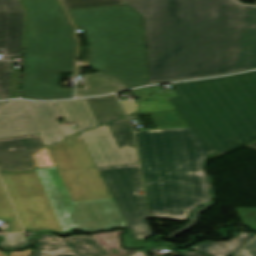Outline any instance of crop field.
Masks as SVG:
<instances>
[{"mask_svg": "<svg viewBox=\"0 0 256 256\" xmlns=\"http://www.w3.org/2000/svg\"><path fill=\"white\" fill-rule=\"evenodd\" d=\"M169 98L190 128L135 132L154 217L186 220L211 199L203 164L256 140V71L171 84Z\"/></svg>", "mask_w": 256, "mask_h": 256, "instance_id": "obj_1", "label": "crop field"}, {"mask_svg": "<svg viewBox=\"0 0 256 256\" xmlns=\"http://www.w3.org/2000/svg\"><path fill=\"white\" fill-rule=\"evenodd\" d=\"M144 16L150 83L256 68V5L122 0Z\"/></svg>", "mask_w": 256, "mask_h": 256, "instance_id": "obj_2", "label": "crop field"}, {"mask_svg": "<svg viewBox=\"0 0 256 256\" xmlns=\"http://www.w3.org/2000/svg\"><path fill=\"white\" fill-rule=\"evenodd\" d=\"M48 147L57 167L1 171L25 229L86 232L126 223L97 167L138 163L135 147L118 149L107 125Z\"/></svg>", "mask_w": 256, "mask_h": 256, "instance_id": "obj_3", "label": "crop field"}, {"mask_svg": "<svg viewBox=\"0 0 256 256\" xmlns=\"http://www.w3.org/2000/svg\"><path fill=\"white\" fill-rule=\"evenodd\" d=\"M22 1L28 13L22 98H73V88H60V72L74 71L72 25L57 0Z\"/></svg>", "mask_w": 256, "mask_h": 256, "instance_id": "obj_4", "label": "crop field"}, {"mask_svg": "<svg viewBox=\"0 0 256 256\" xmlns=\"http://www.w3.org/2000/svg\"><path fill=\"white\" fill-rule=\"evenodd\" d=\"M68 12L86 32L95 69L129 87L148 83L141 15L126 4Z\"/></svg>", "mask_w": 256, "mask_h": 256, "instance_id": "obj_5", "label": "crop field"}, {"mask_svg": "<svg viewBox=\"0 0 256 256\" xmlns=\"http://www.w3.org/2000/svg\"><path fill=\"white\" fill-rule=\"evenodd\" d=\"M55 118L61 116L54 102L9 101L0 108V138L39 133L45 146L58 143L71 129Z\"/></svg>", "mask_w": 256, "mask_h": 256, "instance_id": "obj_6", "label": "crop field"}, {"mask_svg": "<svg viewBox=\"0 0 256 256\" xmlns=\"http://www.w3.org/2000/svg\"><path fill=\"white\" fill-rule=\"evenodd\" d=\"M136 241L152 235L146 212L138 164L98 168Z\"/></svg>", "mask_w": 256, "mask_h": 256, "instance_id": "obj_7", "label": "crop field"}, {"mask_svg": "<svg viewBox=\"0 0 256 256\" xmlns=\"http://www.w3.org/2000/svg\"><path fill=\"white\" fill-rule=\"evenodd\" d=\"M33 256H110L92 236L57 238L44 234Z\"/></svg>", "mask_w": 256, "mask_h": 256, "instance_id": "obj_8", "label": "crop field"}, {"mask_svg": "<svg viewBox=\"0 0 256 256\" xmlns=\"http://www.w3.org/2000/svg\"><path fill=\"white\" fill-rule=\"evenodd\" d=\"M24 13L18 0H0L1 60L20 56Z\"/></svg>", "mask_w": 256, "mask_h": 256, "instance_id": "obj_9", "label": "crop field"}, {"mask_svg": "<svg viewBox=\"0 0 256 256\" xmlns=\"http://www.w3.org/2000/svg\"><path fill=\"white\" fill-rule=\"evenodd\" d=\"M44 148L38 134L0 139V169L23 170L35 166L32 154Z\"/></svg>", "mask_w": 256, "mask_h": 256, "instance_id": "obj_10", "label": "crop field"}, {"mask_svg": "<svg viewBox=\"0 0 256 256\" xmlns=\"http://www.w3.org/2000/svg\"><path fill=\"white\" fill-rule=\"evenodd\" d=\"M67 123L75 122L79 125L80 132L93 126H97L94 116L84 99L57 102Z\"/></svg>", "mask_w": 256, "mask_h": 256, "instance_id": "obj_11", "label": "crop field"}, {"mask_svg": "<svg viewBox=\"0 0 256 256\" xmlns=\"http://www.w3.org/2000/svg\"><path fill=\"white\" fill-rule=\"evenodd\" d=\"M84 78L86 88L76 89V97L107 94L127 88L117 79L107 77L101 73L84 75Z\"/></svg>", "mask_w": 256, "mask_h": 256, "instance_id": "obj_12", "label": "crop field"}, {"mask_svg": "<svg viewBox=\"0 0 256 256\" xmlns=\"http://www.w3.org/2000/svg\"><path fill=\"white\" fill-rule=\"evenodd\" d=\"M99 125L121 118L124 114L115 96L86 99Z\"/></svg>", "mask_w": 256, "mask_h": 256, "instance_id": "obj_13", "label": "crop field"}, {"mask_svg": "<svg viewBox=\"0 0 256 256\" xmlns=\"http://www.w3.org/2000/svg\"><path fill=\"white\" fill-rule=\"evenodd\" d=\"M253 234L240 232L234 234V238L226 242H208L204 241L189 249H195L212 256H231L241 246H243Z\"/></svg>", "mask_w": 256, "mask_h": 256, "instance_id": "obj_14", "label": "crop field"}, {"mask_svg": "<svg viewBox=\"0 0 256 256\" xmlns=\"http://www.w3.org/2000/svg\"><path fill=\"white\" fill-rule=\"evenodd\" d=\"M108 127L119 148L135 146L131 127L126 118L108 124Z\"/></svg>", "mask_w": 256, "mask_h": 256, "instance_id": "obj_15", "label": "crop field"}, {"mask_svg": "<svg viewBox=\"0 0 256 256\" xmlns=\"http://www.w3.org/2000/svg\"><path fill=\"white\" fill-rule=\"evenodd\" d=\"M0 219L6 220L10 224V232L21 231V227L10 206L6 193L0 182Z\"/></svg>", "mask_w": 256, "mask_h": 256, "instance_id": "obj_16", "label": "crop field"}, {"mask_svg": "<svg viewBox=\"0 0 256 256\" xmlns=\"http://www.w3.org/2000/svg\"><path fill=\"white\" fill-rule=\"evenodd\" d=\"M12 64L0 61V99L9 98L11 93Z\"/></svg>", "mask_w": 256, "mask_h": 256, "instance_id": "obj_17", "label": "crop field"}, {"mask_svg": "<svg viewBox=\"0 0 256 256\" xmlns=\"http://www.w3.org/2000/svg\"><path fill=\"white\" fill-rule=\"evenodd\" d=\"M66 9L121 4V0H62Z\"/></svg>", "mask_w": 256, "mask_h": 256, "instance_id": "obj_18", "label": "crop field"}, {"mask_svg": "<svg viewBox=\"0 0 256 256\" xmlns=\"http://www.w3.org/2000/svg\"><path fill=\"white\" fill-rule=\"evenodd\" d=\"M139 109L138 112H152V111H163V110H172L175 109L169 101L159 100V101H146L138 102Z\"/></svg>", "mask_w": 256, "mask_h": 256, "instance_id": "obj_19", "label": "crop field"}, {"mask_svg": "<svg viewBox=\"0 0 256 256\" xmlns=\"http://www.w3.org/2000/svg\"><path fill=\"white\" fill-rule=\"evenodd\" d=\"M26 239L23 233L9 234L6 240L0 243L2 248H19L25 245Z\"/></svg>", "mask_w": 256, "mask_h": 256, "instance_id": "obj_20", "label": "crop field"}, {"mask_svg": "<svg viewBox=\"0 0 256 256\" xmlns=\"http://www.w3.org/2000/svg\"><path fill=\"white\" fill-rule=\"evenodd\" d=\"M244 224L256 231V208L237 209Z\"/></svg>", "mask_w": 256, "mask_h": 256, "instance_id": "obj_21", "label": "crop field"}, {"mask_svg": "<svg viewBox=\"0 0 256 256\" xmlns=\"http://www.w3.org/2000/svg\"><path fill=\"white\" fill-rule=\"evenodd\" d=\"M234 256H256V236L250 240L242 249H240Z\"/></svg>", "mask_w": 256, "mask_h": 256, "instance_id": "obj_22", "label": "crop field"}, {"mask_svg": "<svg viewBox=\"0 0 256 256\" xmlns=\"http://www.w3.org/2000/svg\"><path fill=\"white\" fill-rule=\"evenodd\" d=\"M35 157L38 163V167L54 166L46 148L39 152L37 155H35Z\"/></svg>", "mask_w": 256, "mask_h": 256, "instance_id": "obj_23", "label": "crop field"}, {"mask_svg": "<svg viewBox=\"0 0 256 256\" xmlns=\"http://www.w3.org/2000/svg\"><path fill=\"white\" fill-rule=\"evenodd\" d=\"M127 115L136 111L137 106H136V102L134 101V99H126V100H120Z\"/></svg>", "mask_w": 256, "mask_h": 256, "instance_id": "obj_24", "label": "crop field"}, {"mask_svg": "<svg viewBox=\"0 0 256 256\" xmlns=\"http://www.w3.org/2000/svg\"><path fill=\"white\" fill-rule=\"evenodd\" d=\"M126 240V247H136L145 244V240L142 239L138 242L135 241L134 237L132 236L131 232L124 236Z\"/></svg>", "mask_w": 256, "mask_h": 256, "instance_id": "obj_25", "label": "crop field"}, {"mask_svg": "<svg viewBox=\"0 0 256 256\" xmlns=\"http://www.w3.org/2000/svg\"><path fill=\"white\" fill-rule=\"evenodd\" d=\"M20 71H14L12 98L18 97Z\"/></svg>", "mask_w": 256, "mask_h": 256, "instance_id": "obj_26", "label": "crop field"}, {"mask_svg": "<svg viewBox=\"0 0 256 256\" xmlns=\"http://www.w3.org/2000/svg\"><path fill=\"white\" fill-rule=\"evenodd\" d=\"M182 256H210V255H203L199 252H190L187 250L180 251Z\"/></svg>", "mask_w": 256, "mask_h": 256, "instance_id": "obj_27", "label": "crop field"}, {"mask_svg": "<svg viewBox=\"0 0 256 256\" xmlns=\"http://www.w3.org/2000/svg\"><path fill=\"white\" fill-rule=\"evenodd\" d=\"M32 249L23 252H12L10 256H29Z\"/></svg>", "mask_w": 256, "mask_h": 256, "instance_id": "obj_28", "label": "crop field"}, {"mask_svg": "<svg viewBox=\"0 0 256 256\" xmlns=\"http://www.w3.org/2000/svg\"><path fill=\"white\" fill-rule=\"evenodd\" d=\"M129 256H147L146 253H144L142 250H138L130 254Z\"/></svg>", "mask_w": 256, "mask_h": 256, "instance_id": "obj_29", "label": "crop field"}, {"mask_svg": "<svg viewBox=\"0 0 256 256\" xmlns=\"http://www.w3.org/2000/svg\"><path fill=\"white\" fill-rule=\"evenodd\" d=\"M246 147L252 148V149H256V142L251 143L249 145H247Z\"/></svg>", "mask_w": 256, "mask_h": 256, "instance_id": "obj_30", "label": "crop field"}, {"mask_svg": "<svg viewBox=\"0 0 256 256\" xmlns=\"http://www.w3.org/2000/svg\"><path fill=\"white\" fill-rule=\"evenodd\" d=\"M0 256H5V254L3 252L0 251Z\"/></svg>", "mask_w": 256, "mask_h": 256, "instance_id": "obj_31", "label": "crop field"}, {"mask_svg": "<svg viewBox=\"0 0 256 256\" xmlns=\"http://www.w3.org/2000/svg\"><path fill=\"white\" fill-rule=\"evenodd\" d=\"M5 102V101H4ZM4 102H0V105H2Z\"/></svg>", "mask_w": 256, "mask_h": 256, "instance_id": "obj_32", "label": "crop field"}]
</instances>
